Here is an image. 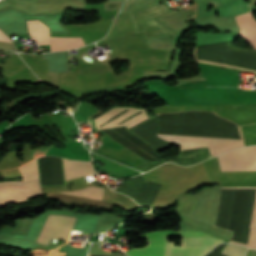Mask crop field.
Listing matches in <instances>:
<instances>
[{"mask_svg": "<svg viewBox=\"0 0 256 256\" xmlns=\"http://www.w3.org/2000/svg\"><path fill=\"white\" fill-rule=\"evenodd\" d=\"M218 256H225V255L220 254V255H218Z\"/></svg>", "mask_w": 256, "mask_h": 256, "instance_id": "crop-field-21", "label": "crop field"}, {"mask_svg": "<svg viewBox=\"0 0 256 256\" xmlns=\"http://www.w3.org/2000/svg\"><path fill=\"white\" fill-rule=\"evenodd\" d=\"M0 33H2V32L0 31ZM3 34H0V41L11 42L10 38L5 36V35H3Z\"/></svg>", "mask_w": 256, "mask_h": 256, "instance_id": "crop-field-19", "label": "crop field"}, {"mask_svg": "<svg viewBox=\"0 0 256 256\" xmlns=\"http://www.w3.org/2000/svg\"><path fill=\"white\" fill-rule=\"evenodd\" d=\"M157 137L167 141L181 143V150L208 146L212 156L223 153L230 149L244 146L242 140H227L164 134H158Z\"/></svg>", "mask_w": 256, "mask_h": 256, "instance_id": "crop-field-4", "label": "crop field"}, {"mask_svg": "<svg viewBox=\"0 0 256 256\" xmlns=\"http://www.w3.org/2000/svg\"><path fill=\"white\" fill-rule=\"evenodd\" d=\"M74 219L62 215H49L37 242L46 244L51 237L68 239Z\"/></svg>", "mask_w": 256, "mask_h": 256, "instance_id": "crop-field-8", "label": "crop field"}, {"mask_svg": "<svg viewBox=\"0 0 256 256\" xmlns=\"http://www.w3.org/2000/svg\"><path fill=\"white\" fill-rule=\"evenodd\" d=\"M38 164L42 184L64 183L60 158L54 156L39 158Z\"/></svg>", "mask_w": 256, "mask_h": 256, "instance_id": "crop-field-9", "label": "crop field"}, {"mask_svg": "<svg viewBox=\"0 0 256 256\" xmlns=\"http://www.w3.org/2000/svg\"><path fill=\"white\" fill-rule=\"evenodd\" d=\"M170 9V8H169ZM173 11V10H172Z\"/></svg>", "mask_w": 256, "mask_h": 256, "instance_id": "crop-field-23", "label": "crop field"}, {"mask_svg": "<svg viewBox=\"0 0 256 256\" xmlns=\"http://www.w3.org/2000/svg\"><path fill=\"white\" fill-rule=\"evenodd\" d=\"M251 14L248 12L246 14L236 16V20L241 29L240 38L253 49H256V20Z\"/></svg>", "mask_w": 256, "mask_h": 256, "instance_id": "crop-field-10", "label": "crop field"}, {"mask_svg": "<svg viewBox=\"0 0 256 256\" xmlns=\"http://www.w3.org/2000/svg\"><path fill=\"white\" fill-rule=\"evenodd\" d=\"M161 33H165L164 29L163 28H159V29H151V30H148V31H145L143 32L144 34V37L145 39H149L153 36H156L158 34H161Z\"/></svg>", "mask_w": 256, "mask_h": 256, "instance_id": "crop-field-18", "label": "crop field"}, {"mask_svg": "<svg viewBox=\"0 0 256 256\" xmlns=\"http://www.w3.org/2000/svg\"><path fill=\"white\" fill-rule=\"evenodd\" d=\"M249 1H251V2L254 3V4H256V0H249Z\"/></svg>", "mask_w": 256, "mask_h": 256, "instance_id": "crop-field-20", "label": "crop field"}, {"mask_svg": "<svg viewBox=\"0 0 256 256\" xmlns=\"http://www.w3.org/2000/svg\"><path fill=\"white\" fill-rule=\"evenodd\" d=\"M223 240L217 238H182L181 247L168 241L166 256H204Z\"/></svg>", "mask_w": 256, "mask_h": 256, "instance_id": "crop-field-7", "label": "crop field"}, {"mask_svg": "<svg viewBox=\"0 0 256 256\" xmlns=\"http://www.w3.org/2000/svg\"><path fill=\"white\" fill-rule=\"evenodd\" d=\"M148 245L143 248L129 250L130 256H165L167 237H212L206 233L196 231H158L146 234Z\"/></svg>", "mask_w": 256, "mask_h": 256, "instance_id": "crop-field-5", "label": "crop field"}, {"mask_svg": "<svg viewBox=\"0 0 256 256\" xmlns=\"http://www.w3.org/2000/svg\"><path fill=\"white\" fill-rule=\"evenodd\" d=\"M254 248H256V241H255V246H254Z\"/></svg>", "mask_w": 256, "mask_h": 256, "instance_id": "crop-field-22", "label": "crop field"}, {"mask_svg": "<svg viewBox=\"0 0 256 256\" xmlns=\"http://www.w3.org/2000/svg\"><path fill=\"white\" fill-rule=\"evenodd\" d=\"M124 0H117V1H106L104 2V11L108 10H118L119 6Z\"/></svg>", "mask_w": 256, "mask_h": 256, "instance_id": "crop-field-17", "label": "crop field"}, {"mask_svg": "<svg viewBox=\"0 0 256 256\" xmlns=\"http://www.w3.org/2000/svg\"><path fill=\"white\" fill-rule=\"evenodd\" d=\"M84 44L82 37H50L51 51L78 48Z\"/></svg>", "mask_w": 256, "mask_h": 256, "instance_id": "crop-field-12", "label": "crop field"}, {"mask_svg": "<svg viewBox=\"0 0 256 256\" xmlns=\"http://www.w3.org/2000/svg\"><path fill=\"white\" fill-rule=\"evenodd\" d=\"M28 178L31 197L40 192L39 172L36 159L22 165ZM20 166L25 181L0 182V206L18 202L30 197L27 178Z\"/></svg>", "mask_w": 256, "mask_h": 256, "instance_id": "crop-field-1", "label": "crop field"}, {"mask_svg": "<svg viewBox=\"0 0 256 256\" xmlns=\"http://www.w3.org/2000/svg\"><path fill=\"white\" fill-rule=\"evenodd\" d=\"M63 160L65 179H73L94 174V170L88 162H76L71 160Z\"/></svg>", "mask_w": 256, "mask_h": 256, "instance_id": "crop-field-11", "label": "crop field"}, {"mask_svg": "<svg viewBox=\"0 0 256 256\" xmlns=\"http://www.w3.org/2000/svg\"><path fill=\"white\" fill-rule=\"evenodd\" d=\"M26 22L30 35L35 37L38 45L49 44V31L46 25L39 20Z\"/></svg>", "mask_w": 256, "mask_h": 256, "instance_id": "crop-field-13", "label": "crop field"}, {"mask_svg": "<svg viewBox=\"0 0 256 256\" xmlns=\"http://www.w3.org/2000/svg\"><path fill=\"white\" fill-rule=\"evenodd\" d=\"M125 109H129L128 111H126L125 113L119 115L118 117H116L115 119L109 121L107 124L99 127L101 124H103L104 122H106L107 120L113 118L115 115H117L118 113H120L121 111L125 110ZM134 108H113L111 110H109L108 112H106L104 115L94 119L95 125L97 129H103L104 127L108 126L109 124H111L112 122L116 121L117 119H119L120 117L124 116L125 114H127L128 112L132 111ZM117 132H119L120 134H122L123 136H125L127 139H129L130 141H132L133 143H135L137 146H139L140 148H142L143 150H145L147 153H149L150 155H152L153 157H155L157 160H161V158L159 157V155L157 154L156 151H154L152 148H150L148 145H146L145 143H143L142 141H140L139 139H137L136 137H134L133 135L129 134L127 131H125L123 128H117L115 129ZM106 134H108L110 137H112L113 139H115L116 141H118L119 143H121L122 145L126 146L127 148H129L130 150H132L133 152H135L136 154H138L139 156H141L142 158L146 159V160H150V161H154L153 159H151L149 156H147L146 154H144L143 152H141L139 149H137L136 147H134L133 145H131L129 142H127L126 140H124L123 138H121L120 136H118L116 133H114L113 131L109 130H103Z\"/></svg>", "mask_w": 256, "mask_h": 256, "instance_id": "crop-field-3", "label": "crop field"}, {"mask_svg": "<svg viewBox=\"0 0 256 256\" xmlns=\"http://www.w3.org/2000/svg\"><path fill=\"white\" fill-rule=\"evenodd\" d=\"M217 158L221 171L256 170V146L232 150Z\"/></svg>", "mask_w": 256, "mask_h": 256, "instance_id": "crop-field-6", "label": "crop field"}, {"mask_svg": "<svg viewBox=\"0 0 256 256\" xmlns=\"http://www.w3.org/2000/svg\"><path fill=\"white\" fill-rule=\"evenodd\" d=\"M102 189L103 188H101V187L91 186V187H89L87 189L79 190V191H74V192H70V193H75V194H80V195H85V196L90 195V196H94V197L100 198L101 197V193H102ZM63 193H66V192H63ZM70 193H68V194H70ZM75 194H73V195H75ZM80 195H78V196H80ZM90 196H88V197L89 198H94V197H90ZM98 198H94V199H98ZM99 200H101V199H99Z\"/></svg>", "mask_w": 256, "mask_h": 256, "instance_id": "crop-field-15", "label": "crop field"}, {"mask_svg": "<svg viewBox=\"0 0 256 256\" xmlns=\"http://www.w3.org/2000/svg\"><path fill=\"white\" fill-rule=\"evenodd\" d=\"M245 251H246V248L244 247L227 244L224 250L222 251V254H225L228 256H243Z\"/></svg>", "mask_w": 256, "mask_h": 256, "instance_id": "crop-field-16", "label": "crop field"}, {"mask_svg": "<svg viewBox=\"0 0 256 256\" xmlns=\"http://www.w3.org/2000/svg\"><path fill=\"white\" fill-rule=\"evenodd\" d=\"M112 71L109 64H100L78 69L79 76Z\"/></svg>", "mask_w": 256, "mask_h": 256, "instance_id": "crop-field-14", "label": "crop field"}, {"mask_svg": "<svg viewBox=\"0 0 256 256\" xmlns=\"http://www.w3.org/2000/svg\"><path fill=\"white\" fill-rule=\"evenodd\" d=\"M170 11L165 3L158 5L155 0H127L120 13H128L136 33L151 28L161 27L155 17L168 14Z\"/></svg>", "mask_w": 256, "mask_h": 256, "instance_id": "crop-field-2", "label": "crop field"}]
</instances>
